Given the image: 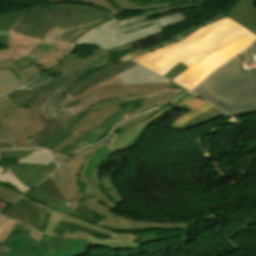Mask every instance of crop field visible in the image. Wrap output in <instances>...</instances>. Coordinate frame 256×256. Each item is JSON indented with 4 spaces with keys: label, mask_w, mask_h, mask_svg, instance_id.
I'll return each instance as SVG.
<instances>
[{
    "label": "crop field",
    "mask_w": 256,
    "mask_h": 256,
    "mask_svg": "<svg viewBox=\"0 0 256 256\" xmlns=\"http://www.w3.org/2000/svg\"><path fill=\"white\" fill-rule=\"evenodd\" d=\"M134 65L136 63L132 61L115 64L89 74L81 81L72 75L78 70L70 71L49 83L6 96L21 105L41 94L31 103L27 112L37 132L32 138L39 146L81 110L96 102L144 94L143 108L124 115L126 119L141 111L166 104L181 91L168 88L170 83L123 85L117 74Z\"/></svg>",
    "instance_id": "obj_1"
},
{
    "label": "crop field",
    "mask_w": 256,
    "mask_h": 256,
    "mask_svg": "<svg viewBox=\"0 0 256 256\" xmlns=\"http://www.w3.org/2000/svg\"><path fill=\"white\" fill-rule=\"evenodd\" d=\"M101 170L91 169L89 180L91 188L97 197L85 199L79 182V175H53V178L66 197L77 202L76 210L68 208L66 197L59 191L50 176L25 194L26 197L43 203L51 210L44 233L57 234L61 231H79L95 234L111 240L136 241L132 233L120 234L114 231H132L151 228L187 229L190 223L186 222H145L130 219L111 212L119 207L102 190L100 185Z\"/></svg>",
    "instance_id": "obj_2"
},
{
    "label": "crop field",
    "mask_w": 256,
    "mask_h": 256,
    "mask_svg": "<svg viewBox=\"0 0 256 256\" xmlns=\"http://www.w3.org/2000/svg\"><path fill=\"white\" fill-rule=\"evenodd\" d=\"M255 39L253 33L227 17L199 28L183 41L134 60L162 76L183 62L189 69L173 81L191 90Z\"/></svg>",
    "instance_id": "obj_3"
},
{
    "label": "crop field",
    "mask_w": 256,
    "mask_h": 256,
    "mask_svg": "<svg viewBox=\"0 0 256 256\" xmlns=\"http://www.w3.org/2000/svg\"><path fill=\"white\" fill-rule=\"evenodd\" d=\"M191 92L233 116L256 112V42Z\"/></svg>",
    "instance_id": "obj_4"
},
{
    "label": "crop field",
    "mask_w": 256,
    "mask_h": 256,
    "mask_svg": "<svg viewBox=\"0 0 256 256\" xmlns=\"http://www.w3.org/2000/svg\"><path fill=\"white\" fill-rule=\"evenodd\" d=\"M186 19L180 13L150 21L145 15L133 16L105 24L86 34L75 45L93 44L109 51L163 33V29Z\"/></svg>",
    "instance_id": "obj_5"
},
{
    "label": "crop field",
    "mask_w": 256,
    "mask_h": 256,
    "mask_svg": "<svg viewBox=\"0 0 256 256\" xmlns=\"http://www.w3.org/2000/svg\"><path fill=\"white\" fill-rule=\"evenodd\" d=\"M53 4L41 9L33 10L25 15L13 27L12 31L23 34L24 29L41 14H45L51 21L47 23L42 29L39 30L37 35L33 38L42 39L45 33L56 26L62 31L77 25L87 24L96 20L104 23L115 19L119 10L113 7L107 0H79L87 3L100 5L110 11L104 12L94 7H87L81 5L60 4L56 5L54 2L63 0H50Z\"/></svg>",
    "instance_id": "obj_6"
},
{
    "label": "crop field",
    "mask_w": 256,
    "mask_h": 256,
    "mask_svg": "<svg viewBox=\"0 0 256 256\" xmlns=\"http://www.w3.org/2000/svg\"><path fill=\"white\" fill-rule=\"evenodd\" d=\"M2 245L19 256H84L89 254V241L72 239L58 242L55 236H42L37 246L30 237L18 233Z\"/></svg>",
    "instance_id": "obj_7"
},
{
    "label": "crop field",
    "mask_w": 256,
    "mask_h": 256,
    "mask_svg": "<svg viewBox=\"0 0 256 256\" xmlns=\"http://www.w3.org/2000/svg\"><path fill=\"white\" fill-rule=\"evenodd\" d=\"M26 111L10 99L0 104V144L10 143L13 148L37 147L31 139L36 132Z\"/></svg>",
    "instance_id": "obj_8"
},
{
    "label": "crop field",
    "mask_w": 256,
    "mask_h": 256,
    "mask_svg": "<svg viewBox=\"0 0 256 256\" xmlns=\"http://www.w3.org/2000/svg\"><path fill=\"white\" fill-rule=\"evenodd\" d=\"M10 46L0 50V60L12 58L19 68L35 63L59 42L30 39L10 32Z\"/></svg>",
    "instance_id": "obj_9"
},
{
    "label": "crop field",
    "mask_w": 256,
    "mask_h": 256,
    "mask_svg": "<svg viewBox=\"0 0 256 256\" xmlns=\"http://www.w3.org/2000/svg\"><path fill=\"white\" fill-rule=\"evenodd\" d=\"M143 95H137L133 97H125L117 99L118 104L125 103L135 99L143 98ZM118 104L108 106L99 110L98 112L90 111L84 117H82L79 121H77L70 129L76 131L71 134L65 141L55 147L53 150L62 152L69 145H71L75 140L80 137H86L87 134L93 129L95 126L101 127L106 121H108L114 114L122 111ZM76 142V141H75Z\"/></svg>",
    "instance_id": "obj_10"
},
{
    "label": "crop field",
    "mask_w": 256,
    "mask_h": 256,
    "mask_svg": "<svg viewBox=\"0 0 256 256\" xmlns=\"http://www.w3.org/2000/svg\"><path fill=\"white\" fill-rule=\"evenodd\" d=\"M48 210L20 198L4 215L34 227L43 233Z\"/></svg>",
    "instance_id": "obj_11"
},
{
    "label": "crop field",
    "mask_w": 256,
    "mask_h": 256,
    "mask_svg": "<svg viewBox=\"0 0 256 256\" xmlns=\"http://www.w3.org/2000/svg\"><path fill=\"white\" fill-rule=\"evenodd\" d=\"M121 10H143L144 14L149 17L162 14L173 10H184L198 7L205 3L189 4H169L167 0H113Z\"/></svg>",
    "instance_id": "obj_12"
},
{
    "label": "crop field",
    "mask_w": 256,
    "mask_h": 256,
    "mask_svg": "<svg viewBox=\"0 0 256 256\" xmlns=\"http://www.w3.org/2000/svg\"><path fill=\"white\" fill-rule=\"evenodd\" d=\"M115 131V129H114ZM114 131L111 135L105 139L103 142L84 149L74 157H72L68 162L61 166L54 174H80V182L82 190L89 189L88 179H84L85 171L87 165L92 157V155L97 152L100 148L108 145Z\"/></svg>",
    "instance_id": "obj_13"
},
{
    "label": "crop field",
    "mask_w": 256,
    "mask_h": 256,
    "mask_svg": "<svg viewBox=\"0 0 256 256\" xmlns=\"http://www.w3.org/2000/svg\"><path fill=\"white\" fill-rule=\"evenodd\" d=\"M109 54L105 50L98 49L92 55L88 56L82 61L77 55H72L67 60H65L55 71L52 73H64L69 70H74L83 67H92L109 64L106 55ZM110 59V58H109ZM113 63V62H112Z\"/></svg>",
    "instance_id": "obj_14"
},
{
    "label": "crop field",
    "mask_w": 256,
    "mask_h": 256,
    "mask_svg": "<svg viewBox=\"0 0 256 256\" xmlns=\"http://www.w3.org/2000/svg\"><path fill=\"white\" fill-rule=\"evenodd\" d=\"M253 3L254 0H239L227 16L256 35V7Z\"/></svg>",
    "instance_id": "obj_15"
},
{
    "label": "crop field",
    "mask_w": 256,
    "mask_h": 256,
    "mask_svg": "<svg viewBox=\"0 0 256 256\" xmlns=\"http://www.w3.org/2000/svg\"><path fill=\"white\" fill-rule=\"evenodd\" d=\"M225 17H226L225 15L220 14V15L216 16L215 18H213V19H211V20H209V21H207V22H205V23H203V24H201V25H199V26H193V27H191V28H189V29H187V30H185V31H183V32H181V33H179V34H177L173 39H170V40H168V41H166V42H164V43H161V44H159V45H156V46H153V47H151V48H148V49H146V50H144V51H142V50L136 48L133 43L130 44V45H127V46H124V47L115 49V51L121 52V51H123V50H124V51H127V50L129 49L130 52H129L128 54H125V55L121 56L119 59H121L122 61H123V60H128V59H134V58H136V57H138V56H140V55H143V54H146V53H148V52L154 51V50H156V49H159V48H161V47L167 46V45H169V44L178 42V41H180V40L186 38L190 33L194 32V31L197 30L199 27L205 26V25H207V24H209V23H211V22H214V21H216V20H219V19H222V18H225Z\"/></svg>",
    "instance_id": "obj_16"
},
{
    "label": "crop field",
    "mask_w": 256,
    "mask_h": 256,
    "mask_svg": "<svg viewBox=\"0 0 256 256\" xmlns=\"http://www.w3.org/2000/svg\"><path fill=\"white\" fill-rule=\"evenodd\" d=\"M174 110L172 106L164 107L160 111H158L154 116L150 119L140 122L138 124L132 125L126 128L122 133L116 135L109 146V148L114 150H121L124 146H126L136 135L137 133L150 121L155 122L162 118L168 112Z\"/></svg>",
    "instance_id": "obj_17"
},
{
    "label": "crop field",
    "mask_w": 256,
    "mask_h": 256,
    "mask_svg": "<svg viewBox=\"0 0 256 256\" xmlns=\"http://www.w3.org/2000/svg\"><path fill=\"white\" fill-rule=\"evenodd\" d=\"M46 165L39 164H11L8 165L17 179L28 187H33L46 176L44 168Z\"/></svg>",
    "instance_id": "obj_18"
},
{
    "label": "crop field",
    "mask_w": 256,
    "mask_h": 256,
    "mask_svg": "<svg viewBox=\"0 0 256 256\" xmlns=\"http://www.w3.org/2000/svg\"><path fill=\"white\" fill-rule=\"evenodd\" d=\"M123 84L130 83H149V82H171L155 73L137 65L121 74H119Z\"/></svg>",
    "instance_id": "obj_19"
},
{
    "label": "crop field",
    "mask_w": 256,
    "mask_h": 256,
    "mask_svg": "<svg viewBox=\"0 0 256 256\" xmlns=\"http://www.w3.org/2000/svg\"><path fill=\"white\" fill-rule=\"evenodd\" d=\"M56 238L58 239V241L67 240L71 238L86 239V240H90V245L106 247L111 250L140 249L138 244L125 243V242H110V241H105L99 238L81 235V234L72 233V232L56 235Z\"/></svg>",
    "instance_id": "obj_20"
},
{
    "label": "crop field",
    "mask_w": 256,
    "mask_h": 256,
    "mask_svg": "<svg viewBox=\"0 0 256 256\" xmlns=\"http://www.w3.org/2000/svg\"><path fill=\"white\" fill-rule=\"evenodd\" d=\"M18 67L12 59L0 61V70L11 68L23 81L24 85L43 73L35 64L23 69H19Z\"/></svg>",
    "instance_id": "obj_21"
},
{
    "label": "crop field",
    "mask_w": 256,
    "mask_h": 256,
    "mask_svg": "<svg viewBox=\"0 0 256 256\" xmlns=\"http://www.w3.org/2000/svg\"><path fill=\"white\" fill-rule=\"evenodd\" d=\"M225 115H227V114H225L223 111H221L220 109L213 106V107L209 108L208 110L204 111L203 113L197 115L196 117L190 119L186 123L182 124L177 129L186 131L196 125L208 122L210 120H213L215 118L222 117Z\"/></svg>",
    "instance_id": "obj_22"
},
{
    "label": "crop field",
    "mask_w": 256,
    "mask_h": 256,
    "mask_svg": "<svg viewBox=\"0 0 256 256\" xmlns=\"http://www.w3.org/2000/svg\"><path fill=\"white\" fill-rule=\"evenodd\" d=\"M135 106L130 105L126 108H124L123 112H120L118 114H116L115 116H113L107 123H105L101 129L99 128H94L89 134L88 136L85 138L87 139L89 142H91L92 144H94L95 142L99 141L101 139V137L111 128L112 125L124 120L123 118V114L129 112L130 110H132Z\"/></svg>",
    "instance_id": "obj_23"
},
{
    "label": "crop field",
    "mask_w": 256,
    "mask_h": 256,
    "mask_svg": "<svg viewBox=\"0 0 256 256\" xmlns=\"http://www.w3.org/2000/svg\"><path fill=\"white\" fill-rule=\"evenodd\" d=\"M186 106H188L192 110H190L187 113H185L184 115L178 117L176 121H174L171 125H169V127L176 129L182 123H184L185 121L189 120L190 118L196 116L197 114L203 112L204 110L208 109L212 105L208 104L207 102H205L202 99L197 97L194 100H192L191 102L187 103Z\"/></svg>",
    "instance_id": "obj_24"
},
{
    "label": "crop field",
    "mask_w": 256,
    "mask_h": 256,
    "mask_svg": "<svg viewBox=\"0 0 256 256\" xmlns=\"http://www.w3.org/2000/svg\"><path fill=\"white\" fill-rule=\"evenodd\" d=\"M71 46L59 43L52 51L42 57L36 65L40 67V69L45 72L49 69L55 62H57L69 49Z\"/></svg>",
    "instance_id": "obj_25"
},
{
    "label": "crop field",
    "mask_w": 256,
    "mask_h": 256,
    "mask_svg": "<svg viewBox=\"0 0 256 256\" xmlns=\"http://www.w3.org/2000/svg\"><path fill=\"white\" fill-rule=\"evenodd\" d=\"M24 86L11 69L0 71V95Z\"/></svg>",
    "instance_id": "obj_26"
},
{
    "label": "crop field",
    "mask_w": 256,
    "mask_h": 256,
    "mask_svg": "<svg viewBox=\"0 0 256 256\" xmlns=\"http://www.w3.org/2000/svg\"><path fill=\"white\" fill-rule=\"evenodd\" d=\"M90 109H86L83 113H81L78 117L69 122L66 126H64L61 130H59L55 135H53L50 139H48L45 143H43L40 147H44L52 150L57 144L61 143L65 140L71 133L74 131L68 129L72 126L77 120H79L83 115H85Z\"/></svg>",
    "instance_id": "obj_27"
},
{
    "label": "crop field",
    "mask_w": 256,
    "mask_h": 256,
    "mask_svg": "<svg viewBox=\"0 0 256 256\" xmlns=\"http://www.w3.org/2000/svg\"><path fill=\"white\" fill-rule=\"evenodd\" d=\"M0 183L12 187L22 194L29 189L15 178L9 168L4 169L3 166H0Z\"/></svg>",
    "instance_id": "obj_28"
},
{
    "label": "crop field",
    "mask_w": 256,
    "mask_h": 256,
    "mask_svg": "<svg viewBox=\"0 0 256 256\" xmlns=\"http://www.w3.org/2000/svg\"><path fill=\"white\" fill-rule=\"evenodd\" d=\"M103 170L100 176L101 179V184H102V188L105 191V193L116 203L119 204L121 203L124 199L122 198V196L120 195V193L116 190V188L113 185L112 182V177L114 175V173H111V175L107 178L102 177L103 175Z\"/></svg>",
    "instance_id": "obj_29"
},
{
    "label": "crop field",
    "mask_w": 256,
    "mask_h": 256,
    "mask_svg": "<svg viewBox=\"0 0 256 256\" xmlns=\"http://www.w3.org/2000/svg\"><path fill=\"white\" fill-rule=\"evenodd\" d=\"M52 159L46 150H36L31 154L18 159V163L48 164Z\"/></svg>",
    "instance_id": "obj_30"
},
{
    "label": "crop field",
    "mask_w": 256,
    "mask_h": 256,
    "mask_svg": "<svg viewBox=\"0 0 256 256\" xmlns=\"http://www.w3.org/2000/svg\"><path fill=\"white\" fill-rule=\"evenodd\" d=\"M16 221L0 216V243L13 231Z\"/></svg>",
    "instance_id": "obj_31"
},
{
    "label": "crop field",
    "mask_w": 256,
    "mask_h": 256,
    "mask_svg": "<svg viewBox=\"0 0 256 256\" xmlns=\"http://www.w3.org/2000/svg\"><path fill=\"white\" fill-rule=\"evenodd\" d=\"M21 195H22L21 193L13 190L7 186L0 184V200L1 201L10 205Z\"/></svg>",
    "instance_id": "obj_32"
},
{
    "label": "crop field",
    "mask_w": 256,
    "mask_h": 256,
    "mask_svg": "<svg viewBox=\"0 0 256 256\" xmlns=\"http://www.w3.org/2000/svg\"><path fill=\"white\" fill-rule=\"evenodd\" d=\"M48 21H50L49 19H47L45 17V15L43 14L42 16H40L39 18L35 19L25 30L24 34L25 36H29V37H33L36 35V33L38 32V30L43 27Z\"/></svg>",
    "instance_id": "obj_33"
},
{
    "label": "crop field",
    "mask_w": 256,
    "mask_h": 256,
    "mask_svg": "<svg viewBox=\"0 0 256 256\" xmlns=\"http://www.w3.org/2000/svg\"><path fill=\"white\" fill-rule=\"evenodd\" d=\"M70 55H72V50L62 59L60 60L55 66H53L49 72L48 75H45V76H42V77H39L37 78L36 80L32 81L31 83H29L28 85L25 86V88H31V87H34L36 85H39L41 83H44L46 81H49L51 79H53L50 75V73L56 69L65 59H67Z\"/></svg>",
    "instance_id": "obj_34"
},
{
    "label": "crop field",
    "mask_w": 256,
    "mask_h": 256,
    "mask_svg": "<svg viewBox=\"0 0 256 256\" xmlns=\"http://www.w3.org/2000/svg\"><path fill=\"white\" fill-rule=\"evenodd\" d=\"M160 109L161 108L153 110V111H150V112H147V113L140 114V115H138V116H136V117H134V118H132V119H130V120L120 124V125H118L116 128L123 129V128L128 127L131 124H135V123H138L140 121L146 120L149 117H151L152 115H154Z\"/></svg>",
    "instance_id": "obj_35"
},
{
    "label": "crop field",
    "mask_w": 256,
    "mask_h": 256,
    "mask_svg": "<svg viewBox=\"0 0 256 256\" xmlns=\"http://www.w3.org/2000/svg\"><path fill=\"white\" fill-rule=\"evenodd\" d=\"M99 23H100L99 25L103 24V23H101V22H99ZM95 24H97V23L90 24V25H87V26H85V27H82V28H78V29H74V30H72V31H69V32H67V33H65V34H63V35H61L60 37H58L55 41H61V42H63L69 35H72V34L78 32V31H80V30H82V29H84V28H86V27H88V26L95 25ZM99 25H97V26H99ZM97 26H95V27H93V28H91V29H89V30H86V31L80 33L79 35L75 36V37L69 42V44H73L78 38H80L82 35L86 34L87 32L93 30V29L96 28Z\"/></svg>",
    "instance_id": "obj_36"
},
{
    "label": "crop field",
    "mask_w": 256,
    "mask_h": 256,
    "mask_svg": "<svg viewBox=\"0 0 256 256\" xmlns=\"http://www.w3.org/2000/svg\"><path fill=\"white\" fill-rule=\"evenodd\" d=\"M37 7H40V6L31 7V8L24 9V10H17V11H12V12H7V13L0 14V20L17 21L26 12H28L29 10H31L33 8H37Z\"/></svg>",
    "instance_id": "obj_37"
},
{
    "label": "crop field",
    "mask_w": 256,
    "mask_h": 256,
    "mask_svg": "<svg viewBox=\"0 0 256 256\" xmlns=\"http://www.w3.org/2000/svg\"><path fill=\"white\" fill-rule=\"evenodd\" d=\"M34 150H5L2 151L3 155L5 158H18V157H23L29 153H31Z\"/></svg>",
    "instance_id": "obj_38"
},
{
    "label": "crop field",
    "mask_w": 256,
    "mask_h": 256,
    "mask_svg": "<svg viewBox=\"0 0 256 256\" xmlns=\"http://www.w3.org/2000/svg\"><path fill=\"white\" fill-rule=\"evenodd\" d=\"M116 151H112L109 149H105L103 150V152L101 153V155L98 157V159L96 160L93 168L96 169H100V167L103 165V163L109 158L111 157Z\"/></svg>",
    "instance_id": "obj_39"
},
{
    "label": "crop field",
    "mask_w": 256,
    "mask_h": 256,
    "mask_svg": "<svg viewBox=\"0 0 256 256\" xmlns=\"http://www.w3.org/2000/svg\"><path fill=\"white\" fill-rule=\"evenodd\" d=\"M188 67H186L183 63H179L176 66H174L171 70H169L165 77L169 79H174L176 76H178L183 71L187 70Z\"/></svg>",
    "instance_id": "obj_40"
},
{
    "label": "crop field",
    "mask_w": 256,
    "mask_h": 256,
    "mask_svg": "<svg viewBox=\"0 0 256 256\" xmlns=\"http://www.w3.org/2000/svg\"><path fill=\"white\" fill-rule=\"evenodd\" d=\"M16 228L22 229V230H24V232H27V235H29L36 244H38L39 239L41 237V235L38 232H36L35 230H33L25 225L19 224V223Z\"/></svg>",
    "instance_id": "obj_41"
},
{
    "label": "crop field",
    "mask_w": 256,
    "mask_h": 256,
    "mask_svg": "<svg viewBox=\"0 0 256 256\" xmlns=\"http://www.w3.org/2000/svg\"><path fill=\"white\" fill-rule=\"evenodd\" d=\"M98 22V21H96ZM94 23V22H93ZM82 26H85V25H82ZM77 27H81V26H77ZM75 27V28H77ZM74 29V28H72ZM71 30V29H70ZM69 31V30H67ZM66 31L62 32L58 27L57 28H54L50 31H48L45 35V39L44 40H54L56 39L58 36H60L61 34L65 33Z\"/></svg>",
    "instance_id": "obj_42"
},
{
    "label": "crop field",
    "mask_w": 256,
    "mask_h": 256,
    "mask_svg": "<svg viewBox=\"0 0 256 256\" xmlns=\"http://www.w3.org/2000/svg\"><path fill=\"white\" fill-rule=\"evenodd\" d=\"M140 243H146V242H152V241H158L165 238L159 237L158 234H152V235H144V236H137ZM168 238V237H166Z\"/></svg>",
    "instance_id": "obj_43"
},
{
    "label": "crop field",
    "mask_w": 256,
    "mask_h": 256,
    "mask_svg": "<svg viewBox=\"0 0 256 256\" xmlns=\"http://www.w3.org/2000/svg\"><path fill=\"white\" fill-rule=\"evenodd\" d=\"M196 96L190 94L185 97H183L181 100L177 101V103L173 104L172 106L177 108L179 106H182L183 104L189 102L190 100L194 99Z\"/></svg>",
    "instance_id": "obj_44"
},
{
    "label": "crop field",
    "mask_w": 256,
    "mask_h": 256,
    "mask_svg": "<svg viewBox=\"0 0 256 256\" xmlns=\"http://www.w3.org/2000/svg\"><path fill=\"white\" fill-rule=\"evenodd\" d=\"M151 124V122L146 125L139 133L138 135L125 147L123 148L122 150H128L130 149L131 147L134 146V144L137 142V140L140 138V136L143 134V132L145 131V129Z\"/></svg>",
    "instance_id": "obj_45"
},
{
    "label": "crop field",
    "mask_w": 256,
    "mask_h": 256,
    "mask_svg": "<svg viewBox=\"0 0 256 256\" xmlns=\"http://www.w3.org/2000/svg\"><path fill=\"white\" fill-rule=\"evenodd\" d=\"M115 103H117L116 99L97 104L95 106L90 107V109L97 111L103 107H106L108 105L115 104Z\"/></svg>",
    "instance_id": "obj_46"
},
{
    "label": "crop field",
    "mask_w": 256,
    "mask_h": 256,
    "mask_svg": "<svg viewBox=\"0 0 256 256\" xmlns=\"http://www.w3.org/2000/svg\"><path fill=\"white\" fill-rule=\"evenodd\" d=\"M15 22L10 21H0V29L9 30L11 26L14 25ZM12 28V27H11Z\"/></svg>",
    "instance_id": "obj_47"
},
{
    "label": "crop field",
    "mask_w": 256,
    "mask_h": 256,
    "mask_svg": "<svg viewBox=\"0 0 256 256\" xmlns=\"http://www.w3.org/2000/svg\"><path fill=\"white\" fill-rule=\"evenodd\" d=\"M56 170V166L54 165L53 161L48 164V166L45 168V172L47 175H50L52 172Z\"/></svg>",
    "instance_id": "obj_48"
},
{
    "label": "crop field",
    "mask_w": 256,
    "mask_h": 256,
    "mask_svg": "<svg viewBox=\"0 0 256 256\" xmlns=\"http://www.w3.org/2000/svg\"><path fill=\"white\" fill-rule=\"evenodd\" d=\"M169 87H171V88H177V89L183 90V91H182L181 93H179L176 97H174V98L170 101V103H171L174 99H176L178 96H180V95H182V94H184V93L187 92L185 89H183L182 87L178 86L177 84H175V83H173V82L170 84ZM168 104H169V103H168Z\"/></svg>",
    "instance_id": "obj_49"
},
{
    "label": "crop field",
    "mask_w": 256,
    "mask_h": 256,
    "mask_svg": "<svg viewBox=\"0 0 256 256\" xmlns=\"http://www.w3.org/2000/svg\"><path fill=\"white\" fill-rule=\"evenodd\" d=\"M9 40V36L5 35V36H0V42L1 43H8Z\"/></svg>",
    "instance_id": "obj_50"
},
{
    "label": "crop field",
    "mask_w": 256,
    "mask_h": 256,
    "mask_svg": "<svg viewBox=\"0 0 256 256\" xmlns=\"http://www.w3.org/2000/svg\"><path fill=\"white\" fill-rule=\"evenodd\" d=\"M82 139H84L83 137L80 138L79 140H77L76 142H74L71 146H69L63 153L67 152L69 149H71L75 144H77L79 141H81Z\"/></svg>",
    "instance_id": "obj_51"
},
{
    "label": "crop field",
    "mask_w": 256,
    "mask_h": 256,
    "mask_svg": "<svg viewBox=\"0 0 256 256\" xmlns=\"http://www.w3.org/2000/svg\"><path fill=\"white\" fill-rule=\"evenodd\" d=\"M91 27H93V26H91ZM91 27H89V28H91ZM89 28H87V29H89ZM84 30H86V29H84ZM84 30H82V31H84ZM82 31H80V32H82ZM80 32H78V33H80ZM78 33H76V34H74V35H72V36H70V37H68L64 42H69L75 35H77Z\"/></svg>",
    "instance_id": "obj_52"
},
{
    "label": "crop field",
    "mask_w": 256,
    "mask_h": 256,
    "mask_svg": "<svg viewBox=\"0 0 256 256\" xmlns=\"http://www.w3.org/2000/svg\"><path fill=\"white\" fill-rule=\"evenodd\" d=\"M7 207H8V205H6V204L0 202V211L4 210V209L7 208Z\"/></svg>",
    "instance_id": "obj_53"
},
{
    "label": "crop field",
    "mask_w": 256,
    "mask_h": 256,
    "mask_svg": "<svg viewBox=\"0 0 256 256\" xmlns=\"http://www.w3.org/2000/svg\"><path fill=\"white\" fill-rule=\"evenodd\" d=\"M23 198H26V197L23 196ZM26 199H28V198H26ZM28 200H30V199H28ZM30 201H32V202H34V203H36V204H38V205H41V206H43V207H45V208H47V209H50L49 207H47V206H45V205H43V204L37 203V202H35V201H33V200H30Z\"/></svg>",
    "instance_id": "obj_54"
},
{
    "label": "crop field",
    "mask_w": 256,
    "mask_h": 256,
    "mask_svg": "<svg viewBox=\"0 0 256 256\" xmlns=\"http://www.w3.org/2000/svg\"><path fill=\"white\" fill-rule=\"evenodd\" d=\"M0 148H12L10 144L0 145Z\"/></svg>",
    "instance_id": "obj_55"
},
{
    "label": "crop field",
    "mask_w": 256,
    "mask_h": 256,
    "mask_svg": "<svg viewBox=\"0 0 256 256\" xmlns=\"http://www.w3.org/2000/svg\"><path fill=\"white\" fill-rule=\"evenodd\" d=\"M7 99H8V98H7L5 95L1 96V97H0V103L3 102V101H5V100H7Z\"/></svg>",
    "instance_id": "obj_56"
},
{
    "label": "crop field",
    "mask_w": 256,
    "mask_h": 256,
    "mask_svg": "<svg viewBox=\"0 0 256 256\" xmlns=\"http://www.w3.org/2000/svg\"><path fill=\"white\" fill-rule=\"evenodd\" d=\"M5 253L8 254L7 256H17V255H15L14 253H12V252H10V251H8V250H7Z\"/></svg>",
    "instance_id": "obj_57"
},
{
    "label": "crop field",
    "mask_w": 256,
    "mask_h": 256,
    "mask_svg": "<svg viewBox=\"0 0 256 256\" xmlns=\"http://www.w3.org/2000/svg\"><path fill=\"white\" fill-rule=\"evenodd\" d=\"M4 251H5V249L3 250V248L0 247V256H6L5 254H3Z\"/></svg>",
    "instance_id": "obj_58"
},
{
    "label": "crop field",
    "mask_w": 256,
    "mask_h": 256,
    "mask_svg": "<svg viewBox=\"0 0 256 256\" xmlns=\"http://www.w3.org/2000/svg\"><path fill=\"white\" fill-rule=\"evenodd\" d=\"M5 34H8V32L0 31V35H5Z\"/></svg>",
    "instance_id": "obj_59"
}]
</instances>
